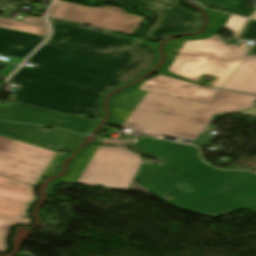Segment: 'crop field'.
<instances>
[{
    "label": "crop field",
    "mask_w": 256,
    "mask_h": 256,
    "mask_svg": "<svg viewBox=\"0 0 256 256\" xmlns=\"http://www.w3.org/2000/svg\"><path fill=\"white\" fill-rule=\"evenodd\" d=\"M183 40H172L168 44L169 47L165 48L166 53H175L177 54L181 46L184 44Z\"/></svg>",
    "instance_id": "4177f3b9"
},
{
    "label": "crop field",
    "mask_w": 256,
    "mask_h": 256,
    "mask_svg": "<svg viewBox=\"0 0 256 256\" xmlns=\"http://www.w3.org/2000/svg\"><path fill=\"white\" fill-rule=\"evenodd\" d=\"M146 93L147 91L133 89L112 98L110 101L112 119L109 124L121 126Z\"/></svg>",
    "instance_id": "d9b57169"
},
{
    "label": "crop field",
    "mask_w": 256,
    "mask_h": 256,
    "mask_svg": "<svg viewBox=\"0 0 256 256\" xmlns=\"http://www.w3.org/2000/svg\"><path fill=\"white\" fill-rule=\"evenodd\" d=\"M33 187L0 177V217L30 222L26 211L34 204Z\"/></svg>",
    "instance_id": "28ad6ade"
},
{
    "label": "crop field",
    "mask_w": 256,
    "mask_h": 256,
    "mask_svg": "<svg viewBox=\"0 0 256 256\" xmlns=\"http://www.w3.org/2000/svg\"><path fill=\"white\" fill-rule=\"evenodd\" d=\"M239 37L256 41V21L248 19ZM246 53L256 54V45L251 49L227 45L217 35L186 41L169 70L194 82L202 74L218 77L212 86L222 88Z\"/></svg>",
    "instance_id": "412701ff"
},
{
    "label": "crop field",
    "mask_w": 256,
    "mask_h": 256,
    "mask_svg": "<svg viewBox=\"0 0 256 256\" xmlns=\"http://www.w3.org/2000/svg\"><path fill=\"white\" fill-rule=\"evenodd\" d=\"M125 140L101 139V144H123Z\"/></svg>",
    "instance_id": "eef30255"
},
{
    "label": "crop field",
    "mask_w": 256,
    "mask_h": 256,
    "mask_svg": "<svg viewBox=\"0 0 256 256\" xmlns=\"http://www.w3.org/2000/svg\"><path fill=\"white\" fill-rule=\"evenodd\" d=\"M17 223H24V222L0 219V252L5 253L6 251L5 238L8 235L9 227ZM24 224H31V223H24Z\"/></svg>",
    "instance_id": "dafd665d"
},
{
    "label": "crop field",
    "mask_w": 256,
    "mask_h": 256,
    "mask_svg": "<svg viewBox=\"0 0 256 256\" xmlns=\"http://www.w3.org/2000/svg\"><path fill=\"white\" fill-rule=\"evenodd\" d=\"M0 120L46 125L81 132L90 131L99 121V119H84L20 103L15 104L12 108L0 106Z\"/></svg>",
    "instance_id": "d8731c3e"
},
{
    "label": "crop field",
    "mask_w": 256,
    "mask_h": 256,
    "mask_svg": "<svg viewBox=\"0 0 256 256\" xmlns=\"http://www.w3.org/2000/svg\"><path fill=\"white\" fill-rule=\"evenodd\" d=\"M139 89L211 103L218 89L193 85L191 83L160 75L146 81Z\"/></svg>",
    "instance_id": "d1516ede"
},
{
    "label": "crop field",
    "mask_w": 256,
    "mask_h": 256,
    "mask_svg": "<svg viewBox=\"0 0 256 256\" xmlns=\"http://www.w3.org/2000/svg\"><path fill=\"white\" fill-rule=\"evenodd\" d=\"M245 21H246L245 18H241V17L231 15V17L227 21V24H226L225 28H229L233 32L238 34V32L240 31V29L243 26V24L245 23Z\"/></svg>",
    "instance_id": "00972430"
},
{
    "label": "crop field",
    "mask_w": 256,
    "mask_h": 256,
    "mask_svg": "<svg viewBox=\"0 0 256 256\" xmlns=\"http://www.w3.org/2000/svg\"><path fill=\"white\" fill-rule=\"evenodd\" d=\"M10 11H11V10L6 9L3 17L7 18L8 15H9V13H10Z\"/></svg>",
    "instance_id": "750c4746"
},
{
    "label": "crop field",
    "mask_w": 256,
    "mask_h": 256,
    "mask_svg": "<svg viewBox=\"0 0 256 256\" xmlns=\"http://www.w3.org/2000/svg\"><path fill=\"white\" fill-rule=\"evenodd\" d=\"M1 136H3V135H1ZM4 137H6V136H4ZM7 138H10V137H7ZM11 139H13V138H11ZM14 140H17V139H14ZM18 141H20V140H18ZM21 142H23V141H21ZM25 143H27V142H25ZM28 144H30V143H28ZM31 145H33V144H31ZM36 146V145H35ZM39 147V146H38ZM41 148H43V147H41ZM44 149H46V148H44ZM47 150H49V149H47ZM49 151H52V150H49ZM52 152H55V153H57L56 154V156L53 158V160L51 161V163L48 165V167L46 168V170L43 172V174L40 176V178L38 179V181H40L41 179H43L44 177H46V176H48V175H50L51 173H53V172H55L56 171V169H55V162H56V160L62 155L61 153H59V152H57V151H52ZM37 181V182H38ZM37 182L35 183V184H37Z\"/></svg>",
    "instance_id": "a9b5d70f"
},
{
    "label": "crop field",
    "mask_w": 256,
    "mask_h": 256,
    "mask_svg": "<svg viewBox=\"0 0 256 256\" xmlns=\"http://www.w3.org/2000/svg\"><path fill=\"white\" fill-rule=\"evenodd\" d=\"M23 21L32 22V23H36V24H39V25H45L42 18H34V17L26 16Z\"/></svg>",
    "instance_id": "730fd06b"
},
{
    "label": "crop field",
    "mask_w": 256,
    "mask_h": 256,
    "mask_svg": "<svg viewBox=\"0 0 256 256\" xmlns=\"http://www.w3.org/2000/svg\"><path fill=\"white\" fill-rule=\"evenodd\" d=\"M10 82H14V83H17V84H19L20 85V88L25 84V83H27L28 81L27 80H23V79H19V78H15V77H11L10 78V80H9Z\"/></svg>",
    "instance_id": "ae1a2a85"
},
{
    "label": "crop field",
    "mask_w": 256,
    "mask_h": 256,
    "mask_svg": "<svg viewBox=\"0 0 256 256\" xmlns=\"http://www.w3.org/2000/svg\"><path fill=\"white\" fill-rule=\"evenodd\" d=\"M138 167V155L123 147H98L77 184L127 189Z\"/></svg>",
    "instance_id": "f4fd0767"
},
{
    "label": "crop field",
    "mask_w": 256,
    "mask_h": 256,
    "mask_svg": "<svg viewBox=\"0 0 256 256\" xmlns=\"http://www.w3.org/2000/svg\"><path fill=\"white\" fill-rule=\"evenodd\" d=\"M55 153L0 137V176L34 185Z\"/></svg>",
    "instance_id": "dd49c442"
},
{
    "label": "crop field",
    "mask_w": 256,
    "mask_h": 256,
    "mask_svg": "<svg viewBox=\"0 0 256 256\" xmlns=\"http://www.w3.org/2000/svg\"><path fill=\"white\" fill-rule=\"evenodd\" d=\"M144 45L143 42L114 36L100 52L142 61Z\"/></svg>",
    "instance_id": "733c2abd"
},
{
    "label": "crop field",
    "mask_w": 256,
    "mask_h": 256,
    "mask_svg": "<svg viewBox=\"0 0 256 256\" xmlns=\"http://www.w3.org/2000/svg\"><path fill=\"white\" fill-rule=\"evenodd\" d=\"M237 113H241V114H245V115H250V116H255L256 117V108L245 110V111H241V112H237Z\"/></svg>",
    "instance_id": "d3111659"
},
{
    "label": "crop field",
    "mask_w": 256,
    "mask_h": 256,
    "mask_svg": "<svg viewBox=\"0 0 256 256\" xmlns=\"http://www.w3.org/2000/svg\"><path fill=\"white\" fill-rule=\"evenodd\" d=\"M205 12H207L210 17L209 27L203 34H201L197 37H191L192 40L205 39V38H209V37L215 35L213 25L220 23L222 20H228V18L230 17V14L216 12V11H212V10L205 9Z\"/></svg>",
    "instance_id": "92a150f3"
},
{
    "label": "crop field",
    "mask_w": 256,
    "mask_h": 256,
    "mask_svg": "<svg viewBox=\"0 0 256 256\" xmlns=\"http://www.w3.org/2000/svg\"><path fill=\"white\" fill-rule=\"evenodd\" d=\"M48 16L130 35L137 29L139 23L145 20L118 7L89 8L60 0L51 7Z\"/></svg>",
    "instance_id": "e52e79f7"
},
{
    "label": "crop field",
    "mask_w": 256,
    "mask_h": 256,
    "mask_svg": "<svg viewBox=\"0 0 256 256\" xmlns=\"http://www.w3.org/2000/svg\"><path fill=\"white\" fill-rule=\"evenodd\" d=\"M205 7H210L249 17L256 8L247 5L245 0H195Z\"/></svg>",
    "instance_id": "bc2a9ffb"
},
{
    "label": "crop field",
    "mask_w": 256,
    "mask_h": 256,
    "mask_svg": "<svg viewBox=\"0 0 256 256\" xmlns=\"http://www.w3.org/2000/svg\"><path fill=\"white\" fill-rule=\"evenodd\" d=\"M96 149L97 147H87L84 149L76 159L74 158L75 160L69 163L67 175L54 180V182L76 184Z\"/></svg>",
    "instance_id": "4a817a6b"
},
{
    "label": "crop field",
    "mask_w": 256,
    "mask_h": 256,
    "mask_svg": "<svg viewBox=\"0 0 256 256\" xmlns=\"http://www.w3.org/2000/svg\"><path fill=\"white\" fill-rule=\"evenodd\" d=\"M0 134L27 141L49 149L70 152L84 138L77 134H69L45 127L17 123L0 122Z\"/></svg>",
    "instance_id": "3316defc"
},
{
    "label": "crop field",
    "mask_w": 256,
    "mask_h": 256,
    "mask_svg": "<svg viewBox=\"0 0 256 256\" xmlns=\"http://www.w3.org/2000/svg\"><path fill=\"white\" fill-rule=\"evenodd\" d=\"M0 26L21 30V31H26V32H31L35 34L45 35V36H47L48 34V29L45 27H40L36 25L26 24V23L12 21V20L3 19V18H0Z\"/></svg>",
    "instance_id": "214f88e0"
},
{
    "label": "crop field",
    "mask_w": 256,
    "mask_h": 256,
    "mask_svg": "<svg viewBox=\"0 0 256 256\" xmlns=\"http://www.w3.org/2000/svg\"><path fill=\"white\" fill-rule=\"evenodd\" d=\"M158 61L159 53L157 47L146 43L143 55V63L107 85L92 102L83 116H102L104 110L102 111L101 101L103 96L107 94L106 92L112 91L126 83L133 81L137 77L152 69Z\"/></svg>",
    "instance_id": "22f410ed"
},
{
    "label": "crop field",
    "mask_w": 256,
    "mask_h": 256,
    "mask_svg": "<svg viewBox=\"0 0 256 256\" xmlns=\"http://www.w3.org/2000/svg\"><path fill=\"white\" fill-rule=\"evenodd\" d=\"M146 3V7L160 18L146 34L150 39H162L166 36L193 32L201 26L200 15L184 10L180 0H136Z\"/></svg>",
    "instance_id": "5a996713"
},
{
    "label": "crop field",
    "mask_w": 256,
    "mask_h": 256,
    "mask_svg": "<svg viewBox=\"0 0 256 256\" xmlns=\"http://www.w3.org/2000/svg\"><path fill=\"white\" fill-rule=\"evenodd\" d=\"M45 38L0 27V54L24 59Z\"/></svg>",
    "instance_id": "cbeb9de0"
},
{
    "label": "crop field",
    "mask_w": 256,
    "mask_h": 256,
    "mask_svg": "<svg viewBox=\"0 0 256 256\" xmlns=\"http://www.w3.org/2000/svg\"><path fill=\"white\" fill-rule=\"evenodd\" d=\"M223 88L256 94V55H246Z\"/></svg>",
    "instance_id": "5142ce71"
},
{
    "label": "crop field",
    "mask_w": 256,
    "mask_h": 256,
    "mask_svg": "<svg viewBox=\"0 0 256 256\" xmlns=\"http://www.w3.org/2000/svg\"><path fill=\"white\" fill-rule=\"evenodd\" d=\"M255 98L220 90L208 104L148 92L122 126L154 137L164 134L193 140L212 116L253 106Z\"/></svg>",
    "instance_id": "34b2d1b8"
},
{
    "label": "crop field",
    "mask_w": 256,
    "mask_h": 256,
    "mask_svg": "<svg viewBox=\"0 0 256 256\" xmlns=\"http://www.w3.org/2000/svg\"><path fill=\"white\" fill-rule=\"evenodd\" d=\"M132 146L166 164H142L135 178L161 200L212 218L241 208L256 214V173L216 170L201 160L195 146L145 137ZM179 182L192 190L185 193L176 185ZM165 192L173 198L166 200ZM213 199L217 201L211 203Z\"/></svg>",
    "instance_id": "ac0d7876"
},
{
    "label": "crop field",
    "mask_w": 256,
    "mask_h": 256,
    "mask_svg": "<svg viewBox=\"0 0 256 256\" xmlns=\"http://www.w3.org/2000/svg\"><path fill=\"white\" fill-rule=\"evenodd\" d=\"M251 18L256 19V13H255V15H254L253 17H251Z\"/></svg>",
    "instance_id": "bd1437ed"
},
{
    "label": "crop field",
    "mask_w": 256,
    "mask_h": 256,
    "mask_svg": "<svg viewBox=\"0 0 256 256\" xmlns=\"http://www.w3.org/2000/svg\"><path fill=\"white\" fill-rule=\"evenodd\" d=\"M52 37L13 76L30 80L12 101L81 116L98 93L140 61L98 53L112 35L49 21Z\"/></svg>",
    "instance_id": "8a807250"
}]
</instances>
